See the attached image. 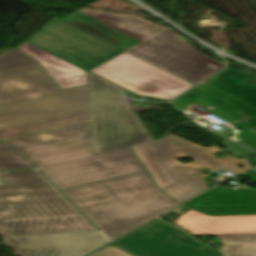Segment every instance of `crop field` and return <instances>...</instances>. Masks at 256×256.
<instances>
[{
    "label": "crop field",
    "instance_id": "crop-field-1",
    "mask_svg": "<svg viewBox=\"0 0 256 256\" xmlns=\"http://www.w3.org/2000/svg\"><path fill=\"white\" fill-rule=\"evenodd\" d=\"M90 121L87 85L61 91L31 57L0 54V140Z\"/></svg>",
    "mask_w": 256,
    "mask_h": 256
},
{
    "label": "crop field",
    "instance_id": "crop-field-2",
    "mask_svg": "<svg viewBox=\"0 0 256 256\" xmlns=\"http://www.w3.org/2000/svg\"><path fill=\"white\" fill-rule=\"evenodd\" d=\"M61 21L193 85L224 68L222 64L197 53L167 28L134 15L82 8Z\"/></svg>",
    "mask_w": 256,
    "mask_h": 256
},
{
    "label": "crop field",
    "instance_id": "crop-field-3",
    "mask_svg": "<svg viewBox=\"0 0 256 256\" xmlns=\"http://www.w3.org/2000/svg\"><path fill=\"white\" fill-rule=\"evenodd\" d=\"M59 190L144 170L130 146L93 155L90 122L5 141Z\"/></svg>",
    "mask_w": 256,
    "mask_h": 256
},
{
    "label": "crop field",
    "instance_id": "crop-field-4",
    "mask_svg": "<svg viewBox=\"0 0 256 256\" xmlns=\"http://www.w3.org/2000/svg\"><path fill=\"white\" fill-rule=\"evenodd\" d=\"M94 228L38 170L0 172V236Z\"/></svg>",
    "mask_w": 256,
    "mask_h": 256
},
{
    "label": "crop field",
    "instance_id": "crop-field-5",
    "mask_svg": "<svg viewBox=\"0 0 256 256\" xmlns=\"http://www.w3.org/2000/svg\"><path fill=\"white\" fill-rule=\"evenodd\" d=\"M215 135L222 141L220 146L227 150H220L217 146H197L173 134L159 140L132 145L131 148L158 188L181 203L210 188L208 183L202 180L207 177L200 173L201 169H209L212 172L227 171L234 175L251 169L246 157L251 151ZM227 151L244 159L229 158L224 154ZM213 153H220L224 157L217 159ZM181 157H192L194 162L179 164L176 160ZM235 164L245 167L238 169L234 167Z\"/></svg>",
    "mask_w": 256,
    "mask_h": 256
},
{
    "label": "crop field",
    "instance_id": "crop-field-6",
    "mask_svg": "<svg viewBox=\"0 0 256 256\" xmlns=\"http://www.w3.org/2000/svg\"><path fill=\"white\" fill-rule=\"evenodd\" d=\"M62 192L111 240L178 205L155 188L145 171Z\"/></svg>",
    "mask_w": 256,
    "mask_h": 256
},
{
    "label": "crop field",
    "instance_id": "crop-field-7",
    "mask_svg": "<svg viewBox=\"0 0 256 256\" xmlns=\"http://www.w3.org/2000/svg\"><path fill=\"white\" fill-rule=\"evenodd\" d=\"M87 78L94 154L152 140L122 89L88 72Z\"/></svg>",
    "mask_w": 256,
    "mask_h": 256
},
{
    "label": "crop field",
    "instance_id": "crop-field-8",
    "mask_svg": "<svg viewBox=\"0 0 256 256\" xmlns=\"http://www.w3.org/2000/svg\"><path fill=\"white\" fill-rule=\"evenodd\" d=\"M26 42L85 71L123 52L55 18Z\"/></svg>",
    "mask_w": 256,
    "mask_h": 256
},
{
    "label": "crop field",
    "instance_id": "crop-field-9",
    "mask_svg": "<svg viewBox=\"0 0 256 256\" xmlns=\"http://www.w3.org/2000/svg\"><path fill=\"white\" fill-rule=\"evenodd\" d=\"M90 72L137 94L167 100L193 86L126 52Z\"/></svg>",
    "mask_w": 256,
    "mask_h": 256
},
{
    "label": "crop field",
    "instance_id": "crop-field-10",
    "mask_svg": "<svg viewBox=\"0 0 256 256\" xmlns=\"http://www.w3.org/2000/svg\"><path fill=\"white\" fill-rule=\"evenodd\" d=\"M112 244L134 256H221L159 218ZM200 246L204 251L198 249Z\"/></svg>",
    "mask_w": 256,
    "mask_h": 256
},
{
    "label": "crop field",
    "instance_id": "crop-field-11",
    "mask_svg": "<svg viewBox=\"0 0 256 256\" xmlns=\"http://www.w3.org/2000/svg\"><path fill=\"white\" fill-rule=\"evenodd\" d=\"M1 238L16 256H84L111 241L102 230Z\"/></svg>",
    "mask_w": 256,
    "mask_h": 256
},
{
    "label": "crop field",
    "instance_id": "crop-field-12",
    "mask_svg": "<svg viewBox=\"0 0 256 256\" xmlns=\"http://www.w3.org/2000/svg\"><path fill=\"white\" fill-rule=\"evenodd\" d=\"M243 176L256 182V177L249 173ZM183 206L208 215L256 214V190L241 186L233 190L215 188Z\"/></svg>",
    "mask_w": 256,
    "mask_h": 256
},
{
    "label": "crop field",
    "instance_id": "crop-field-13",
    "mask_svg": "<svg viewBox=\"0 0 256 256\" xmlns=\"http://www.w3.org/2000/svg\"><path fill=\"white\" fill-rule=\"evenodd\" d=\"M176 225L193 234L256 232V215L210 217L191 210L175 221Z\"/></svg>",
    "mask_w": 256,
    "mask_h": 256
},
{
    "label": "crop field",
    "instance_id": "crop-field-14",
    "mask_svg": "<svg viewBox=\"0 0 256 256\" xmlns=\"http://www.w3.org/2000/svg\"><path fill=\"white\" fill-rule=\"evenodd\" d=\"M18 50L35 59L61 90L87 84L86 72L26 42Z\"/></svg>",
    "mask_w": 256,
    "mask_h": 256
},
{
    "label": "crop field",
    "instance_id": "crop-field-15",
    "mask_svg": "<svg viewBox=\"0 0 256 256\" xmlns=\"http://www.w3.org/2000/svg\"><path fill=\"white\" fill-rule=\"evenodd\" d=\"M197 236H216L222 241L221 251L225 256H256V233L214 234Z\"/></svg>",
    "mask_w": 256,
    "mask_h": 256
},
{
    "label": "crop field",
    "instance_id": "crop-field-16",
    "mask_svg": "<svg viewBox=\"0 0 256 256\" xmlns=\"http://www.w3.org/2000/svg\"><path fill=\"white\" fill-rule=\"evenodd\" d=\"M36 168L19 151L0 143V170Z\"/></svg>",
    "mask_w": 256,
    "mask_h": 256
},
{
    "label": "crop field",
    "instance_id": "crop-field-17",
    "mask_svg": "<svg viewBox=\"0 0 256 256\" xmlns=\"http://www.w3.org/2000/svg\"><path fill=\"white\" fill-rule=\"evenodd\" d=\"M237 136L241 137V139L236 142L256 151V126L239 132Z\"/></svg>",
    "mask_w": 256,
    "mask_h": 256
},
{
    "label": "crop field",
    "instance_id": "crop-field-18",
    "mask_svg": "<svg viewBox=\"0 0 256 256\" xmlns=\"http://www.w3.org/2000/svg\"><path fill=\"white\" fill-rule=\"evenodd\" d=\"M91 256H131V255L118 249L117 247L111 244Z\"/></svg>",
    "mask_w": 256,
    "mask_h": 256
},
{
    "label": "crop field",
    "instance_id": "crop-field-19",
    "mask_svg": "<svg viewBox=\"0 0 256 256\" xmlns=\"http://www.w3.org/2000/svg\"><path fill=\"white\" fill-rule=\"evenodd\" d=\"M124 89V88H123ZM133 93V92H132ZM135 94V93H134ZM137 95V94H136ZM157 99V98H156ZM160 100H162V99H160ZM165 101H167V100H165Z\"/></svg>",
    "mask_w": 256,
    "mask_h": 256
}]
</instances>
